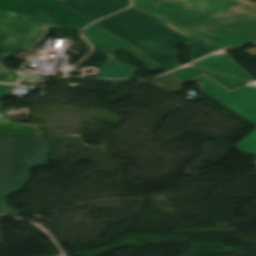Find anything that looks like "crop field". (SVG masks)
<instances>
[{
    "label": "crop field",
    "mask_w": 256,
    "mask_h": 256,
    "mask_svg": "<svg viewBox=\"0 0 256 256\" xmlns=\"http://www.w3.org/2000/svg\"><path fill=\"white\" fill-rule=\"evenodd\" d=\"M49 153L45 139H10L8 179L30 178L33 167L47 164Z\"/></svg>",
    "instance_id": "crop-field-4"
},
{
    "label": "crop field",
    "mask_w": 256,
    "mask_h": 256,
    "mask_svg": "<svg viewBox=\"0 0 256 256\" xmlns=\"http://www.w3.org/2000/svg\"><path fill=\"white\" fill-rule=\"evenodd\" d=\"M83 33L86 34V36L89 38V40L92 42V44L97 49H99L101 52H103L106 55L112 53L113 51H115L119 48L124 47V48L132 51L137 57H139L143 62H145L151 68H153V69L159 68L158 65H156L155 63L150 61L143 54H141L139 51H137L134 47H132L128 43L112 36L111 34L107 33L106 31H104L103 29L99 28L98 26H96L94 24L91 27L83 30Z\"/></svg>",
    "instance_id": "crop-field-7"
},
{
    "label": "crop field",
    "mask_w": 256,
    "mask_h": 256,
    "mask_svg": "<svg viewBox=\"0 0 256 256\" xmlns=\"http://www.w3.org/2000/svg\"><path fill=\"white\" fill-rule=\"evenodd\" d=\"M242 153L256 157V130L235 146Z\"/></svg>",
    "instance_id": "crop-field-11"
},
{
    "label": "crop field",
    "mask_w": 256,
    "mask_h": 256,
    "mask_svg": "<svg viewBox=\"0 0 256 256\" xmlns=\"http://www.w3.org/2000/svg\"><path fill=\"white\" fill-rule=\"evenodd\" d=\"M54 256H62V255H54Z\"/></svg>",
    "instance_id": "crop-field-12"
},
{
    "label": "crop field",
    "mask_w": 256,
    "mask_h": 256,
    "mask_svg": "<svg viewBox=\"0 0 256 256\" xmlns=\"http://www.w3.org/2000/svg\"><path fill=\"white\" fill-rule=\"evenodd\" d=\"M171 74L184 83L206 74L229 90L254 83L228 92L206 76L197 79L204 84L200 86L202 92L256 124V81L227 51L212 54Z\"/></svg>",
    "instance_id": "crop-field-3"
},
{
    "label": "crop field",
    "mask_w": 256,
    "mask_h": 256,
    "mask_svg": "<svg viewBox=\"0 0 256 256\" xmlns=\"http://www.w3.org/2000/svg\"><path fill=\"white\" fill-rule=\"evenodd\" d=\"M0 243H1V237H0Z\"/></svg>",
    "instance_id": "crop-field-14"
},
{
    "label": "crop field",
    "mask_w": 256,
    "mask_h": 256,
    "mask_svg": "<svg viewBox=\"0 0 256 256\" xmlns=\"http://www.w3.org/2000/svg\"><path fill=\"white\" fill-rule=\"evenodd\" d=\"M9 139H0V179H7Z\"/></svg>",
    "instance_id": "crop-field-10"
},
{
    "label": "crop field",
    "mask_w": 256,
    "mask_h": 256,
    "mask_svg": "<svg viewBox=\"0 0 256 256\" xmlns=\"http://www.w3.org/2000/svg\"><path fill=\"white\" fill-rule=\"evenodd\" d=\"M28 179L25 180H0V197H1V213L10 216H20L21 210H14L7 206V197H11V193H17L25 188Z\"/></svg>",
    "instance_id": "crop-field-9"
},
{
    "label": "crop field",
    "mask_w": 256,
    "mask_h": 256,
    "mask_svg": "<svg viewBox=\"0 0 256 256\" xmlns=\"http://www.w3.org/2000/svg\"><path fill=\"white\" fill-rule=\"evenodd\" d=\"M88 23L53 0H0V82L18 80L3 59L35 43L45 27L79 30Z\"/></svg>",
    "instance_id": "crop-field-1"
},
{
    "label": "crop field",
    "mask_w": 256,
    "mask_h": 256,
    "mask_svg": "<svg viewBox=\"0 0 256 256\" xmlns=\"http://www.w3.org/2000/svg\"><path fill=\"white\" fill-rule=\"evenodd\" d=\"M189 8L197 10L206 16L216 17L238 13L254 12L253 8L238 0H175Z\"/></svg>",
    "instance_id": "crop-field-5"
},
{
    "label": "crop field",
    "mask_w": 256,
    "mask_h": 256,
    "mask_svg": "<svg viewBox=\"0 0 256 256\" xmlns=\"http://www.w3.org/2000/svg\"><path fill=\"white\" fill-rule=\"evenodd\" d=\"M96 24L126 39L167 71L177 67L174 47L180 43L192 45L191 61L217 50L196 44L189 39L192 35L135 8Z\"/></svg>",
    "instance_id": "crop-field-2"
},
{
    "label": "crop field",
    "mask_w": 256,
    "mask_h": 256,
    "mask_svg": "<svg viewBox=\"0 0 256 256\" xmlns=\"http://www.w3.org/2000/svg\"><path fill=\"white\" fill-rule=\"evenodd\" d=\"M63 4L94 21L128 7L129 0H70Z\"/></svg>",
    "instance_id": "crop-field-6"
},
{
    "label": "crop field",
    "mask_w": 256,
    "mask_h": 256,
    "mask_svg": "<svg viewBox=\"0 0 256 256\" xmlns=\"http://www.w3.org/2000/svg\"><path fill=\"white\" fill-rule=\"evenodd\" d=\"M60 2L64 1V0H59Z\"/></svg>",
    "instance_id": "crop-field-13"
},
{
    "label": "crop field",
    "mask_w": 256,
    "mask_h": 256,
    "mask_svg": "<svg viewBox=\"0 0 256 256\" xmlns=\"http://www.w3.org/2000/svg\"><path fill=\"white\" fill-rule=\"evenodd\" d=\"M43 136L41 127L37 125L9 122L0 118V137Z\"/></svg>",
    "instance_id": "crop-field-8"
}]
</instances>
